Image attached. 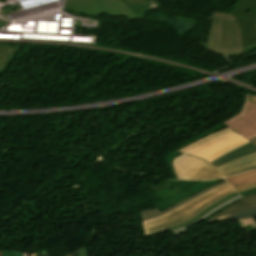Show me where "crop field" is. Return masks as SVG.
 Listing matches in <instances>:
<instances>
[{
	"mask_svg": "<svg viewBox=\"0 0 256 256\" xmlns=\"http://www.w3.org/2000/svg\"><path fill=\"white\" fill-rule=\"evenodd\" d=\"M147 0H66L63 9L90 16L103 12L108 15L125 16L129 20L143 19L145 12L152 9Z\"/></svg>",
	"mask_w": 256,
	"mask_h": 256,
	"instance_id": "ac0d7876",
	"label": "crop field"
},
{
	"mask_svg": "<svg viewBox=\"0 0 256 256\" xmlns=\"http://www.w3.org/2000/svg\"><path fill=\"white\" fill-rule=\"evenodd\" d=\"M242 197L239 195L236 198L230 199L224 203H222L221 205H219L218 207H216L215 209L211 210L210 212H208L207 214H205L200 220H198L197 222L193 223L190 226L181 228V229H177V230H172L171 232H173L175 235H180L181 233L185 232L186 230H188L189 228L197 225L200 222L206 221L209 217H211L212 215H214L215 213H217L218 211H220L221 209H223L224 207L228 206L229 204L241 199Z\"/></svg>",
	"mask_w": 256,
	"mask_h": 256,
	"instance_id": "cbeb9de0",
	"label": "crop field"
},
{
	"mask_svg": "<svg viewBox=\"0 0 256 256\" xmlns=\"http://www.w3.org/2000/svg\"><path fill=\"white\" fill-rule=\"evenodd\" d=\"M226 180L236 189L238 193L243 190L255 188L256 170L228 177Z\"/></svg>",
	"mask_w": 256,
	"mask_h": 256,
	"instance_id": "5a996713",
	"label": "crop field"
},
{
	"mask_svg": "<svg viewBox=\"0 0 256 256\" xmlns=\"http://www.w3.org/2000/svg\"><path fill=\"white\" fill-rule=\"evenodd\" d=\"M256 152V146H254L252 143H247L239 148H236L226 154H224L223 156H221L220 158L216 159L215 161L211 162L213 165H215L216 167L221 166L229 161L235 160L237 158H240L242 156L251 154Z\"/></svg>",
	"mask_w": 256,
	"mask_h": 256,
	"instance_id": "28ad6ade",
	"label": "crop field"
},
{
	"mask_svg": "<svg viewBox=\"0 0 256 256\" xmlns=\"http://www.w3.org/2000/svg\"><path fill=\"white\" fill-rule=\"evenodd\" d=\"M9 47H11V48H13V49H15L16 51L14 52V54L10 57V59L6 62V64L2 67V69L0 70V72H4L5 71V69L8 67V65H9V63H10V61L13 59V57L16 55V53L22 48V47H20V46H9ZM12 62V61H11Z\"/></svg>",
	"mask_w": 256,
	"mask_h": 256,
	"instance_id": "733c2abd",
	"label": "crop field"
},
{
	"mask_svg": "<svg viewBox=\"0 0 256 256\" xmlns=\"http://www.w3.org/2000/svg\"><path fill=\"white\" fill-rule=\"evenodd\" d=\"M243 197L244 196H247V195H252V194H256V188L255 189H251V190H247V191H244L242 193H240Z\"/></svg>",
	"mask_w": 256,
	"mask_h": 256,
	"instance_id": "214f88e0",
	"label": "crop field"
},
{
	"mask_svg": "<svg viewBox=\"0 0 256 256\" xmlns=\"http://www.w3.org/2000/svg\"><path fill=\"white\" fill-rule=\"evenodd\" d=\"M78 252H79L80 256H87V252H86L85 246L80 248V249H78Z\"/></svg>",
	"mask_w": 256,
	"mask_h": 256,
	"instance_id": "92a150f3",
	"label": "crop field"
},
{
	"mask_svg": "<svg viewBox=\"0 0 256 256\" xmlns=\"http://www.w3.org/2000/svg\"><path fill=\"white\" fill-rule=\"evenodd\" d=\"M44 256H49L48 254H45Z\"/></svg>",
	"mask_w": 256,
	"mask_h": 256,
	"instance_id": "4177f3b9",
	"label": "crop field"
},
{
	"mask_svg": "<svg viewBox=\"0 0 256 256\" xmlns=\"http://www.w3.org/2000/svg\"><path fill=\"white\" fill-rule=\"evenodd\" d=\"M26 253L17 252V251H2V256H24ZM33 253L32 255H34Z\"/></svg>",
	"mask_w": 256,
	"mask_h": 256,
	"instance_id": "4a817a6b",
	"label": "crop field"
},
{
	"mask_svg": "<svg viewBox=\"0 0 256 256\" xmlns=\"http://www.w3.org/2000/svg\"><path fill=\"white\" fill-rule=\"evenodd\" d=\"M67 256H70V255H67Z\"/></svg>",
	"mask_w": 256,
	"mask_h": 256,
	"instance_id": "eef30255",
	"label": "crop field"
},
{
	"mask_svg": "<svg viewBox=\"0 0 256 256\" xmlns=\"http://www.w3.org/2000/svg\"><path fill=\"white\" fill-rule=\"evenodd\" d=\"M248 97L246 96L243 109L234 117L222 123L250 140L256 137V106L247 101Z\"/></svg>",
	"mask_w": 256,
	"mask_h": 256,
	"instance_id": "dd49c442",
	"label": "crop field"
},
{
	"mask_svg": "<svg viewBox=\"0 0 256 256\" xmlns=\"http://www.w3.org/2000/svg\"><path fill=\"white\" fill-rule=\"evenodd\" d=\"M14 50L8 48L5 45H0V69L13 54Z\"/></svg>",
	"mask_w": 256,
	"mask_h": 256,
	"instance_id": "5142ce71",
	"label": "crop field"
},
{
	"mask_svg": "<svg viewBox=\"0 0 256 256\" xmlns=\"http://www.w3.org/2000/svg\"><path fill=\"white\" fill-rule=\"evenodd\" d=\"M224 183H226V181H221L219 183H216V184H214V185H212V186L202 190L201 192H199V193H197V194H195L193 196H190V197H188V198H186V199L176 203L175 205L171 206L170 208H168V209H166V210H164L162 212L159 211L157 208L139 211L140 218H141L142 221L153 219V218H155L157 216H160V215H162V214H164V213H166V212H168V211H170V210H172V209L182 205L183 203H185V202H187V201H189V200H191V199H193V198H195V197H197V196H199V195H201V194H203V193H205L207 191H210V190H212V189H214V188H216V187H218V186H220V185H222Z\"/></svg>",
	"mask_w": 256,
	"mask_h": 256,
	"instance_id": "3316defc",
	"label": "crop field"
},
{
	"mask_svg": "<svg viewBox=\"0 0 256 256\" xmlns=\"http://www.w3.org/2000/svg\"><path fill=\"white\" fill-rule=\"evenodd\" d=\"M232 192L235 191L228 184L220 186L183 204L165 215L143 222L144 232L147 234L189 220Z\"/></svg>",
	"mask_w": 256,
	"mask_h": 256,
	"instance_id": "34b2d1b8",
	"label": "crop field"
},
{
	"mask_svg": "<svg viewBox=\"0 0 256 256\" xmlns=\"http://www.w3.org/2000/svg\"><path fill=\"white\" fill-rule=\"evenodd\" d=\"M246 217H256V209L237 213V214L232 215V216H230V217H228V218H226V219H224L222 221L231 220V219H237V218H246Z\"/></svg>",
	"mask_w": 256,
	"mask_h": 256,
	"instance_id": "d9b57169",
	"label": "crop field"
},
{
	"mask_svg": "<svg viewBox=\"0 0 256 256\" xmlns=\"http://www.w3.org/2000/svg\"><path fill=\"white\" fill-rule=\"evenodd\" d=\"M250 142H252L254 145H256V138L250 140Z\"/></svg>",
	"mask_w": 256,
	"mask_h": 256,
	"instance_id": "a9b5d70f",
	"label": "crop field"
},
{
	"mask_svg": "<svg viewBox=\"0 0 256 256\" xmlns=\"http://www.w3.org/2000/svg\"><path fill=\"white\" fill-rule=\"evenodd\" d=\"M256 168V153L229 162L221 167L219 171L224 177Z\"/></svg>",
	"mask_w": 256,
	"mask_h": 256,
	"instance_id": "d8731c3e",
	"label": "crop field"
},
{
	"mask_svg": "<svg viewBox=\"0 0 256 256\" xmlns=\"http://www.w3.org/2000/svg\"><path fill=\"white\" fill-rule=\"evenodd\" d=\"M220 48H241L238 23L223 20Z\"/></svg>",
	"mask_w": 256,
	"mask_h": 256,
	"instance_id": "e52e79f7",
	"label": "crop field"
},
{
	"mask_svg": "<svg viewBox=\"0 0 256 256\" xmlns=\"http://www.w3.org/2000/svg\"><path fill=\"white\" fill-rule=\"evenodd\" d=\"M172 167L178 179L213 180L221 178L218 170L203 159L181 154L173 159Z\"/></svg>",
	"mask_w": 256,
	"mask_h": 256,
	"instance_id": "f4fd0767",
	"label": "crop field"
},
{
	"mask_svg": "<svg viewBox=\"0 0 256 256\" xmlns=\"http://www.w3.org/2000/svg\"><path fill=\"white\" fill-rule=\"evenodd\" d=\"M246 142L248 140L226 127L177 151L200 156L211 162Z\"/></svg>",
	"mask_w": 256,
	"mask_h": 256,
	"instance_id": "412701ff",
	"label": "crop field"
},
{
	"mask_svg": "<svg viewBox=\"0 0 256 256\" xmlns=\"http://www.w3.org/2000/svg\"><path fill=\"white\" fill-rule=\"evenodd\" d=\"M239 195L237 192L235 193H232L226 197H224L223 199H221L220 201H218L217 203L213 204L212 206H210L209 208H207L206 210H204L202 213H200L199 215H197L195 218L189 220V221H186L184 223H181L179 225H176V226H173V227H170V228H167V229H163V230H160V231H157V232H154V233H150V234H147L145 237H148V236H152V235H155V234H159V233H162V232H165V231H169V230H172V229H177V228H181V227H184V226H187V225H190L192 224L194 221L198 220L199 218H201L205 213H207L208 211H210L211 209L215 208L216 206H218L219 204H221L222 202L230 199V198H233L235 196Z\"/></svg>",
	"mask_w": 256,
	"mask_h": 256,
	"instance_id": "22f410ed",
	"label": "crop field"
},
{
	"mask_svg": "<svg viewBox=\"0 0 256 256\" xmlns=\"http://www.w3.org/2000/svg\"><path fill=\"white\" fill-rule=\"evenodd\" d=\"M253 208H256V205H253V206H249V207H245V208H242V209L235 210V211H233V212H231V213H229V214H227V215L221 217L220 219L216 220L215 222H218L219 220H222V219H224V218H226V217H228V216H230V215H232V214H235V213H237V212H240V211H243V210H248V209H253ZM212 223H213V222H212Z\"/></svg>",
	"mask_w": 256,
	"mask_h": 256,
	"instance_id": "bc2a9ffb",
	"label": "crop field"
},
{
	"mask_svg": "<svg viewBox=\"0 0 256 256\" xmlns=\"http://www.w3.org/2000/svg\"><path fill=\"white\" fill-rule=\"evenodd\" d=\"M252 204H256V195L245 197L244 199L226 207L225 209L221 210L220 212H218L217 214H215L214 216L209 218L204 223H211L212 221L220 218L221 216L225 215L226 213H228L234 209L242 208V207L252 205Z\"/></svg>",
	"mask_w": 256,
	"mask_h": 256,
	"instance_id": "d1516ede",
	"label": "crop field"
},
{
	"mask_svg": "<svg viewBox=\"0 0 256 256\" xmlns=\"http://www.w3.org/2000/svg\"><path fill=\"white\" fill-rule=\"evenodd\" d=\"M0 256H1V252H0Z\"/></svg>",
	"mask_w": 256,
	"mask_h": 256,
	"instance_id": "730fd06b",
	"label": "crop field"
},
{
	"mask_svg": "<svg viewBox=\"0 0 256 256\" xmlns=\"http://www.w3.org/2000/svg\"><path fill=\"white\" fill-rule=\"evenodd\" d=\"M72 256H79L77 250L71 253Z\"/></svg>",
	"mask_w": 256,
	"mask_h": 256,
	"instance_id": "00972430",
	"label": "crop field"
},
{
	"mask_svg": "<svg viewBox=\"0 0 256 256\" xmlns=\"http://www.w3.org/2000/svg\"><path fill=\"white\" fill-rule=\"evenodd\" d=\"M207 38L208 48L227 57L256 51V0H240L229 14L215 13ZM222 19L238 21L242 34V49H219Z\"/></svg>",
	"mask_w": 256,
	"mask_h": 256,
	"instance_id": "8a807250",
	"label": "crop field"
},
{
	"mask_svg": "<svg viewBox=\"0 0 256 256\" xmlns=\"http://www.w3.org/2000/svg\"><path fill=\"white\" fill-rule=\"evenodd\" d=\"M248 101H250L256 105V96H250Z\"/></svg>",
	"mask_w": 256,
	"mask_h": 256,
	"instance_id": "dafd665d",
	"label": "crop field"
}]
</instances>
